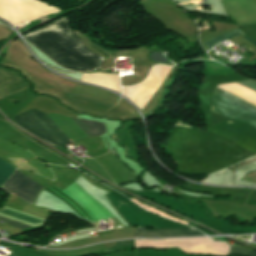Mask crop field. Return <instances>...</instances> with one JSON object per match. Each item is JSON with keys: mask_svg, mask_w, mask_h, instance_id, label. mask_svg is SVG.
I'll list each match as a JSON object with an SVG mask.
<instances>
[{"mask_svg": "<svg viewBox=\"0 0 256 256\" xmlns=\"http://www.w3.org/2000/svg\"><path fill=\"white\" fill-rule=\"evenodd\" d=\"M54 61L77 71L100 68L103 58L88 50L79 38L69 30L68 17L24 36Z\"/></svg>", "mask_w": 256, "mask_h": 256, "instance_id": "crop-field-1", "label": "crop field"}, {"mask_svg": "<svg viewBox=\"0 0 256 256\" xmlns=\"http://www.w3.org/2000/svg\"><path fill=\"white\" fill-rule=\"evenodd\" d=\"M36 121L53 137V139L60 145L70 143L68 138L63 132L52 122V120L45 114L37 111H28ZM24 113L15 117L16 122L22 127L26 128L29 132L37 135L38 137L45 139L57 146H59L52 137L35 121V119L28 113ZM80 128L89 136H99L105 133V126L102 123L72 118Z\"/></svg>", "mask_w": 256, "mask_h": 256, "instance_id": "crop-field-2", "label": "crop field"}, {"mask_svg": "<svg viewBox=\"0 0 256 256\" xmlns=\"http://www.w3.org/2000/svg\"><path fill=\"white\" fill-rule=\"evenodd\" d=\"M217 91L221 92L222 94L228 96L229 98L235 100L236 102L242 104L243 106L249 108L250 110L256 112V107L217 88ZM214 91L212 94V102H211V110L221 114L229 119L234 118V119H238V120H242V121H246L252 125H254L256 127V113L250 111L249 109L243 107L242 105L236 103L235 101L229 99L228 97L222 95L221 93ZM254 105H256V103L238 95V94H234Z\"/></svg>", "mask_w": 256, "mask_h": 256, "instance_id": "crop-field-3", "label": "crop field"}, {"mask_svg": "<svg viewBox=\"0 0 256 256\" xmlns=\"http://www.w3.org/2000/svg\"><path fill=\"white\" fill-rule=\"evenodd\" d=\"M3 188L33 205L38 191L43 187L16 170L15 174L4 184Z\"/></svg>", "mask_w": 256, "mask_h": 256, "instance_id": "crop-field-4", "label": "crop field"}, {"mask_svg": "<svg viewBox=\"0 0 256 256\" xmlns=\"http://www.w3.org/2000/svg\"><path fill=\"white\" fill-rule=\"evenodd\" d=\"M137 237L193 236L204 235L194 229L144 230L136 229Z\"/></svg>", "mask_w": 256, "mask_h": 256, "instance_id": "crop-field-5", "label": "crop field"}, {"mask_svg": "<svg viewBox=\"0 0 256 256\" xmlns=\"http://www.w3.org/2000/svg\"><path fill=\"white\" fill-rule=\"evenodd\" d=\"M240 35H244V34L242 32H240L239 29H237V30L230 31L226 34H223L221 36L215 37L213 39L207 40L204 43H205L207 49L209 50L221 41L228 40L233 37L240 36Z\"/></svg>", "mask_w": 256, "mask_h": 256, "instance_id": "crop-field-6", "label": "crop field"}, {"mask_svg": "<svg viewBox=\"0 0 256 256\" xmlns=\"http://www.w3.org/2000/svg\"><path fill=\"white\" fill-rule=\"evenodd\" d=\"M0 164L11 169V170H15L16 167H14V165L0 159ZM0 165V184L3 185L5 183V181L10 177L11 174H13V171L3 167Z\"/></svg>", "mask_w": 256, "mask_h": 256, "instance_id": "crop-field-7", "label": "crop field"}, {"mask_svg": "<svg viewBox=\"0 0 256 256\" xmlns=\"http://www.w3.org/2000/svg\"><path fill=\"white\" fill-rule=\"evenodd\" d=\"M231 253L233 254H238V255H243V256H256V252H252L249 250L237 248V247H232L231 246Z\"/></svg>", "mask_w": 256, "mask_h": 256, "instance_id": "crop-field-8", "label": "crop field"}, {"mask_svg": "<svg viewBox=\"0 0 256 256\" xmlns=\"http://www.w3.org/2000/svg\"><path fill=\"white\" fill-rule=\"evenodd\" d=\"M0 219H1L2 221H4L6 224L11 225V226H14V227L19 228V229L30 228L29 226H26V225H23V224H21V223H18V222H15V221H12V220L3 218V217H1V216H0Z\"/></svg>", "mask_w": 256, "mask_h": 256, "instance_id": "crop-field-9", "label": "crop field"}, {"mask_svg": "<svg viewBox=\"0 0 256 256\" xmlns=\"http://www.w3.org/2000/svg\"><path fill=\"white\" fill-rule=\"evenodd\" d=\"M244 38H246L247 40H249L252 44H254L256 46V43H254L253 41H251L249 38H247L246 36H244Z\"/></svg>", "mask_w": 256, "mask_h": 256, "instance_id": "crop-field-10", "label": "crop field"}]
</instances>
